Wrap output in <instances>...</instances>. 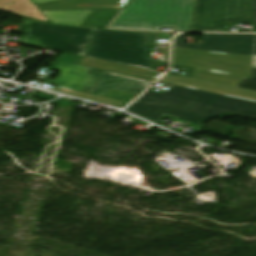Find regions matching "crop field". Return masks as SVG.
<instances>
[{"mask_svg":"<svg viewBox=\"0 0 256 256\" xmlns=\"http://www.w3.org/2000/svg\"><path fill=\"white\" fill-rule=\"evenodd\" d=\"M172 63L196 67L192 79L168 74L161 82L256 102V91L235 87L251 78L252 57L174 47Z\"/></svg>","mask_w":256,"mask_h":256,"instance_id":"1","label":"crop field"},{"mask_svg":"<svg viewBox=\"0 0 256 256\" xmlns=\"http://www.w3.org/2000/svg\"><path fill=\"white\" fill-rule=\"evenodd\" d=\"M135 103L205 119L228 113L256 119L255 102L178 86L162 94L148 91Z\"/></svg>","mask_w":256,"mask_h":256,"instance_id":"2","label":"crop field"},{"mask_svg":"<svg viewBox=\"0 0 256 256\" xmlns=\"http://www.w3.org/2000/svg\"><path fill=\"white\" fill-rule=\"evenodd\" d=\"M195 0L130 1L111 28L159 31L162 27L189 31Z\"/></svg>","mask_w":256,"mask_h":256,"instance_id":"3","label":"crop field"},{"mask_svg":"<svg viewBox=\"0 0 256 256\" xmlns=\"http://www.w3.org/2000/svg\"><path fill=\"white\" fill-rule=\"evenodd\" d=\"M145 33L95 29L87 57L150 69V49L143 47Z\"/></svg>","mask_w":256,"mask_h":256,"instance_id":"4","label":"crop field"},{"mask_svg":"<svg viewBox=\"0 0 256 256\" xmlns=\"http://www.w3.org/2000/svg\"><path fill=\"white\" fill-rule=\"evenodd\" d=\"M93 29L53 26L26 19L23 44L84 56Z\"/></svg>","mask_w":256,"mask_h":256,"instance_id":"5","label":"crop field"},{"mask_svg":"<svg viewBox=\"0 0 256 256\" xmlns=\"http://www.w3.org/2000/svg\"><path fill=\"white\" fill-rule=\"evenodd\" d=\"M225 23H251L249 0H196L190 31L225 32Z\"/></svg>","mask_w":256,"mask_h":256,"instance_id":"6","label":"crop field"},{"mask_svg":"<svg viewBox=\"0 0 256 256\" xmlns=\"http://www.w3.org/2000/svg\"><path fill=\"white\" fill-rule=\"evenodd\" d=\"M60 70V77L54 85L87 92L107 72L58 62L52 67Z\"/></svg>","mask_w":256,"mask_h":256,"instance_id":"7","label":"crop field"},{"mask_svg":"<svg viewBox=\"0 0 256 256\" xmlns=\"http://www.w3.org/2000/svg\"><path fill=\"white\" fill-rule=\"evenodd\" d=\"M153 82L108 72L88 93L103 96L110 89L139 95Z\"/></svg>","mask_w":256,"mask_h":256,"instance_id":"8","label":"crop field"},{"mask_svg":"<svg viewBox=\"0 0 256 256\" xmlns=\"http://www.w3.org/2000/svg\"><path fill=\"white\" fill-rule=\"evenodd\" d=\"M243 35L204 34L198 45H186L184 34L175 38L174 46L235 54Z\"/></svg>","mask_w":256,"mask_h":256,"instance_id":"9","label":"crop field"},{"mask_svg":"<svg viewBox=\"0 0 256 256\" xmlns=\"http://www.w3.org/2000/svg\"><path fill=\"white\" fill-rule=\"evenodd\" d=\"M128 0H58L37 4L41 11L121 9Z\"/></svg>","mask_w":256,"mask_h":256,"instance_id":"10","label":"crop field"},{"mask_svg":"<svg viewBox=\"0 0 256 256\" xmlns=\"http://www.w3.org/2000/svg\"><path fill=\"white\" fill-rule=\"evenodd\" d=\"M80 66L90 67V68H96L106 71H111L115 73L125 74L129 76H134L138 78L148 79L155 81L158 77H160L162 74L160 73H154L150 72L145 69L135 68L131 66L101 61L97 59L87 58L84 57L83 60L79 64Z\"/></svg>","mask_w":256,"mask_h":256,"instance_id":"11","label":"crop field"},{"mask_svg":"<svg viewBox=\"0 0 256 256\" xmlns=\"http://www.w3.org/2000/svg\"><path fill=\"white\" fill-rule=\"evenodd\" d=\"M0 10L48 22L29 0H0Z\"/></svg>","mask_w":256,"mask_h":256,"instance_id":"12","label":"crop field"},{"mask_svg":"<svg viewBox=\"0 0 256 256\" xmlns=\"http://www.w3.org/2000/svg\"><path fill=\"white\" fill-rule=\"evenodd\" d=\"M128 111L138 116H141L143 118H146L150 121H153L155 123L159 122L165 117H168V118L175 117L177 119L174 122L184 123L186 120H188L191 117L183 114L141 106L137 104H134L132 107H130Z\"/></svg>","mask_w":256,"mask_h":256,"instance_id":"13","label":"crop field"},{"mask_svg":"<svg viewBox=\"0 0 256 256\" xmlns=\"http://www.w3.org/2000/svg\"><path fill=\"white\" fill-rule=\"evenodd\" d=\"M52 22L59 24L75 25L80 24L90 13L89 11H66V12H43Z\"/></svg>","mask_w":256,"mask_h":256,"instance_id":"14","label":"crop field"},{"mask_svg":"<svg viewBox=\"0 0 256 256\" xmlns=\"http://www.w3.org/2000/svg\"><path fill=\"white\" fill-rule=\"evenodd\" d=\"M236 54L256 55V35H244Z\"/></svg>","mask_w":256,"mask_h":256,"instance_id":"15","label":"crop field"},{"mask_svg":"<svg viewBox=\"0 0 256 256\" xmlns=\"http://www.w3.org/2000/svg\"><path fill=\"white\" fill-rule=\"evenodd\" d=\"M237 86L247 88V89L256 90V68H253V73H252L251 79L244 78Z\"/></svg>","mask_w":256,"mask_h":256,"instance_id":"16","label":"crop field"},{"mask_svg":"<svg viewBox=\"0 0 256 256\" xmlns=\"http://www.w3.org/2000/svg\"><path fill=\"white\" fill-rule=\"evenodd\" d=\"M81 58H82L81 56L62 53L56 60L77 64Z\"/></svg>","mask_w":256,"mask_h":256,"instance_id":"17","label":"crop field"},{"mask_svg":"<svg viewBox=\"0 0 256 256\" xmlns=\"http://www.w3.org/2000/svg\"><path fill=\"white\" fill-rule=\"evenodd\" d=\"M156 66L166 67V63L153 60L151 69L155 70Z\"/></svg>","mask_w":256,"mask_h":256,"instance_id":"18","label":"crop field"},{"mask_svg":"<svg viewBox=\"0 0 256 256\" xmlns=\"http://www.w3.org/2000/svg\"><path fill=\"white\" fill-rule=\"evenodd\" d=\"M252 4H253L254 17H255V24H256V0H252Z\"/></svg>","mask_w":256,"mask_h":256,"instance_id":"19","label":"crop field"},{"mask_svg":"<svg viewBox=\"0 0 256 256\" xmlns=\"http://www.w3.org/2000/svg\"><path fill=\"white\" fill-rule=\"evenodd\" d=\"M34 2V4L37 3H42V2H47V1H53V0H32Z\"/></svg>","mask_w":256,"mask_h":256,"instance_id":"20","label":"crop field"},{"mask_svg":"<svg viewBox=\"0 0 256 256\" xmlns=\"http://www.w3.org/2000/svg\"><path fill=\"white\" fill-rule=\"evenodd\" d=\"M253 67H256V56H253Z\"/></svg>","mask_w":256,"mask_h":256,"instance_id":"21","label":"crop field"}]
</instances>
